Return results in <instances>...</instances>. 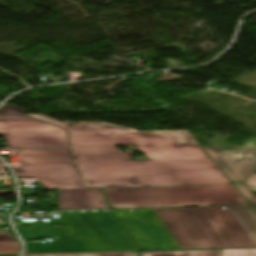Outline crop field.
I'll list each match as a JSON object with an SVG mask.
<instances>
[{
	"label": "crop field",
	"mask_w": 256,
	"mask_h": 256,
	"mask_svg": "<svg viewBox=\"0 0 256 256\" xmlns=\"http://www.w3.org/2000/svg\"><path fill=\"white\" fill-rule=\"evenodd\" d=\"M231 182L243 183L256 167V149L222 150L200 146Z\"/></svg>",
	"instance_id": "obj_8"
},
{
	"label": "crop field",
	"mask_w": 256,
	"mask_h": 256,
	"mask_svg": "<svg viewBox=\"0 0 256 256\" xmlns=\"http://www.w3.org/2000/svg\"><path fill=\"white\" fill-rule=\"evenodd\" d=\"M234 217L256 243V213L251 207H228Z\"/></svg>",
	"instance_id": "obj_10"
},
{
	"label": "crop field",
	"mask_w": 256,
	"mask_h": 256,
	"mask_svg": "<svg viewBox=\"0 0 256 256\" xmlns=\"http://www.w3.org/2000/svg\"><path fill=\"white\" fill-rule=\"evenodd\" d=\"M140 256H221V250L141 252Z\"/></svg>",
	"instance_id": "obj_11"
},
{
	"label": "crop field",
	"mask_w": 256,
	"mask_h": 256,
	"mask_svg": "<svg viewBox=\"0 0 256 256\" xmlns=\"http://www.w3.org/2000/svg\"><path fill=\"white\" fill-rule=\"evenodd\" d=\"M0 229H2V230H3V229H4V227L0 225Z\"/></svg>",
	"instance_id": "obj_21"
},
{
	"label": "crop field",
	"mask_w": 256,
	"mask_h": 256,
	"mask_svg": "<svg viewBox=\"0 0 256 256\" xmlns=\"http://www.w3.org/2000/svg\"><path fill=\"white\" fill-rule=\"evenodd\" d=\"M246 184L256 186V171L253 173V175L250 177Z\"/></svg>",
	"instance_id": "obj_18"
},
{
	"label": "crop field",
	"mask_w": 256,
	"mask_h": 256,
	"mask_svg": "<svg viewBox=\"0 0 256 256\" xmlns=\"http://www.w3.org/2000/svg\"><path fill=\"white\" fill-rule=\"evenodd\" d=\"M222 256H256V249L222 250Z\"/></svg>",
	"instance_id": "obj_16"
},
{
	"label": "crop field",
	"mask_w": 256,
	"mask_h": 256,
	"mask_svg": "<svg viewBox=\"0 0 256 256\" xmlns=\"http://www.w3.org/2000/svg\"><path fill=\"white\" fill-rule=\"evenodd\" d=\"M73 160L88 187L230 183L211 159L132 161L129 154H104Z\"/></svg>",
	"instance_id": "obj_2"
},
{
	"label": "crop field",
	"mask_w": 256,
	"mask_h": 256,
	"mask_svg": "<svg viewBox=\"0 0 256 256\" xmlns=\"http://www.w3.org/2000/svg\"><path fill=\"white\" fill-rule=\"evenodd\" d=\"M20 250L11 234L0 230V253H19Z\"/></svg>",
	"instance_id": "obj_12"
},
{
	"label": "crop field",
	"mask_w": 256,
	"mask_h": 256,
	"mask_svg": "<svg viewBox=\"0 0 256 256\" xmlns=\"http://www.w3.org/2000/svg\"><path fill=\"white\" fill-rule=\"evenodd\" d=\"M23 256H137V253L119 252V253H84V254H43V255H23Z\"/></svg>",
	"instance_id": "obj_14"
},
{
	"label": "crop field",
	"mask_w": 256,
	"mask_h": 256,
	"mask_svg": "<svg viewBox=\"0 0 256 256\" xmlns=\"http://www.w3.org/2000/svg\"><path fill=\"white\" fill-rule=\"evenodd\" d=\"M63 219L81 242L26 244L31 253L139 250L110 211H77Z\"/></svg>",
	"instance_id": "obj_5"
},
{
	"label": "crop field",
	"mask_w": 256,
	"mask_h": 256,
	"mask_svg": "<svg viewBox=\"0 0 256 256\" xmlns=\"http://www.w3.org/2000/svg\"><path fill=\"white\" fill-rule=\"evenodd\" d=\"M31 150H17L21 165L14 168L17 176H36L45 188H85L72 164L69 148Z\"/></svg>",
	"instance_id": "obj_6"
},
{
	"label": "crop field",
	"mask_w": 256,
	"mask_h": 256,
	"mask_svg": "<svg viewBox=\"0 0 256 256\" xmlns=\"http://www.w3.org/2000/svg\"><path fill=\"white\" fill-rule=\"evenodd\" d=\"M250 141L256 145V138L255 139H251Z\"/></svg>",
	"instance_id": "obj_19"
},
{
	"label": "crop field",
	"mask_w": 256,
	"mask_h": 256,
	"mask_svg": "<svg viewBox=\"0 0 256 256\" xmlns=\"http://www.w3.org/2000/svg\"><path fill=\"white\" fill-rule=\"evenodd\" d=\"M234 185L245 196V198L250 202V204L256 209V199L252 195L254 192H256V188L246 187L243 185H236V184Z\"/></svg>",
	"instance_id": "obj_15"
},
{
	"label": "crop field",
	"mask_w": 256,
	"mask_h": 256,
	"mask_svg": "<svg viewBox=\"0 0 256 256\" xmlns=\"http://www.w3.org/2000/svg\"><path fill=\"white\" fill-rule=\"evenodd\" d=\"M0 163H2L1 160H0Z\"/></svg>",
	"instance_id": "obj_22"
},
{
	"label": "crop field",
	"mask_w": 256,
	"mask_h": 256,
	"mask_svg": "<svg viewBox=\"0 0 256 256\" xmlns=\"http://www.w3.org/2000/svg\"><path fill=\"white\" fill-rule=\"evenodd\" d=\"M28 111L12 107L9 105L4 104L2 107H0V114H23L25 115Z\"/></svg>",
	"instance_id": "obj_17"
},
{
	"label": "crop field",
	"mask_w": 256,
	"mask_h": 256,
	"mask_svg": "<svg viewBox=\"0 0 256 256\" xmlns=\"http://www.w3.org/2000/svg\"><path fill=\"white\" fill-rule=\"evenodd\" d=\"M114 212L142 250L179 249L165 226L185 249L256 247L230 211L222 207Z\"/></svg>",
	"instance_id": "obj_1"
},
{
	"label": "crop field",
	"mask_w": 256,
	"mask_h": 256,
	"mask_svg": "<svg viewBox=\"0 0 256 256\" xmlns=\"http://www.w3.org/2000/svg\"><path fill=\"white\" fill-rule=\"evenodd\" d=\"M73 154L123 153L114 147L71 148Z\"/></svg>",
	"instance_id": "obj_13"
},
{
	"label": "crop field",
	"mask_w": 256,
	"mask_h": 256,
	"mask_svg": "<svg viewBox=\"0 0 256 256\" xmlns=\"http://www.w3.org/2000/svg\"><path fill=\"white\" fill-rule=\"evenodd\" d=\"M102 189L112 208L248 205L232 184Z\"/></svg>",
	"instance_id": "obj_4"
},
{
	"label": "crop field",
	"mask_w": 256,
	"mask_h": 256,
	"mask_svg": "<svg viewBox=\"0 0 256 256\" xmlns=\"http://www.w3.org/2000/svg\"><path fill=\"white\" fill-rule=\"evenodd\" d=\"M59 210L109 209L99 189H58Z\"/></svg>",
	"instance_id": "obj_9"
},
{
	"label": "crop field",
	"mask_w": 256,
	"mask_h": 256,
	"mask_svg": "<svg viewBox=\"0 0 256 256\" xmlns=\"http://www.w3.org/2000/svg\"><path fill=\"white\" fill-rule=\"evenodd\" d=\"M69 213H70V212H63V213H61V214H62V216H63V215H65V214H69Z\"/></svg>",
	"instance_id": "obj_20"
},
{
	"label": "crop field",
	"mask_w": 256,
	"mask_h": 256,
	"mask_svg": "<svg viewBox=\"0 0 256 256\" xmlns=\"http://www.w3.org/2000/svg\"><path fill=\"white\" fill-rule=\"evenodd\" d=\"M0 135L8 148L68 146L64 130L23 116H0Z\"/></svg>",
	"instance_id": "obj_7"
},
{
	"label": "crop field",
	"mask_w": 256,
	"mask_h": 256,
	"mask_svg": "<svg viewBox=\"0 0 256 256\" xmlns=\"http://www.w3.org/2000/svg\"><path fill=\"white\" fill-rule=\"evenodd\" d=\"M69 132L71 146L132 145L151 160L209 158L187 131L138 132L108 123L66 125L42 115H27Z\"/></svg>",
	"instance_id": "obj_3"
}]
</instances>
